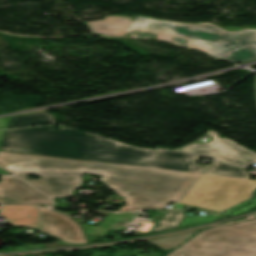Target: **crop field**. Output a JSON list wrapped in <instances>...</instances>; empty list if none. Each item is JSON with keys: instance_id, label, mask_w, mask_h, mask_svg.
Returning a JSON list of instances; mask_svg holds the SVG:
<instances>
[{"instance_id": "crop-field-1", "label": "crop field", "mask_w": 256, "mask_h": 256, "mask_svg": "<svg viewBox=\"0 0 256 256\" xmlns=\"http://www.w3.org/2000/svg\"><path fill=\"white\" fill-rule=\"evenodd\" d=\"M0 151L197 173L205 169L195 166L200 156L164 149H143L68 127L5 131Z\"/></svg>"}, {"instance_id": "crop-field-2", "label": "crop field", "mask_w": 256, "mask_h": 256, "mask_svg": "<svg viewBox=\"0 0 256 256\" xmlns=\"http://www.w3.org/2000/svg\"><path fill=\"white\" fill-rule=\"evenodd\" d=\"M0 165L14 173L82 172L126 198L121 210L164 208L178 202L200 174L0 152Z\"/></svg>"}, {"instance_id": "crop-field-3", "label": "crop field", "mask_w": 256, "mask_h": 256, "mask_svg": "<svg viewBox=\"0 0 256 256\" xmlns=\"http://www.w3.org/2000/svg\"><path fill=\"white\" fill-rule=\"evenodd\" d=\"M86 25L106 36H142L170 41L204 51L218 58L242 63L256 59V30L227 32L211 23L183 24L138 16H106Z\"/></svg>"}, {"instance_id": "crop-field-4", "label": "crop field", "mask_w": 256, "mask_h": 256, "mask_svg": "<svg viewBox=\"0 0 256 256\" xmlns=\"http://www.w3.org/2000/svg\"><path fill=\"white\" fill-rule=\"evenodd\" d=\"M166 256H256V219L204 230Z\"/></svg>"}, {"instance_id": "crop-field-5", "label": "crop field", "mask_w": 256, "mask_h": 256, "mask_svg": "<svg viewBox=\"0 0 256 256\" xmlns=\"http://www.w3.org/2000/svg\"><path fill=\"white\" fill-rule=\"evenodd\" d=\"M256 181L203 174L180 202L221 212L252 197Z\"/></svg>"}, {"instance_id": "crop-field-6", "label": "crop field", "mask_w": 256, "mask_h": 256, "mask_svg": "<svg viewBox=\"0 0 256 256\" xmlns=\"http://www.w3.org/2000/svg\"><path fill=\"white\" fill-rule=\"evenodd\" d=\"M207 134L213 138L211 142L193 144L181 150L197 153L242 167L256 163V153L247 150L229 139L218 138L214 131H208Z\"/></svg>"}, {"instance_id": "crop-field-7", "label": "crop field", "mask_w": 256, "mask_h": 256, "mask_svg": "<svg viewBox=\"0 0 256 256\" xmlns=\"http://www.w3.org/2000/svg\"><path fill=\"white\" fill-rule=\"evenodd\" d=\"M41 233L71 244L86 243L81 226L64 214L41 209Z\"/></svg>"}, {"instance_id": "crop-field-8", "label": "crop field", "mask_w": 256, "mask_h": 256, "mask_svg": "<svg viewBox=\"0 0 256 256\" xmlns=\"http://www.w3.org/2000/svg\"><path fill=\"white\" fill-rule=\"evenodd\" d=\"M1 204H51L50 198L16 177L2 176Z\"/></svg>"}, {"instance_id": "crop-field-9", "label": "crop field", "mask_w": 256, "mask_h": 256, "mask_svg": "<svg viewBox=\"0 0 256 256\" xmlns=\"http://www.w3.org/2000/svg\"><path fill=\"white\" fill-rule=\"evenodd\" d=\"M2 216L14 226L23 225L38 228V207L5 206L2 208Z\"/></svg>"}, {"instance_id": "crop-field-10", "label": "crop field", "mask_w": 256, "mask_h": 256, "mask_svg": "<svg viewBox=\"0 0 256 256\" xmlns=\"http://www.w3.org/2000/svg\"><path fill=\"white\" fill-rule=\"evenodd\" d=\"M82 180L31 182L51 196L71 195L72 190L81 185Z\"/></svg>"}, {"instance_id": "crop-field-11", "label": "crop field", "mask_w": 256, "mask_h": 256, "mask_svg": "<svg viewBox=\"0 0 256 256\" xmlns=\"http://www.w3.org/2000/svg\"><path fill=\"white\" fill-rule=\"evenodd\" d=\"M55 123L52 116L48 112L36 113L24 116H14L11 117V122L7 128L12 127H24L33 126L39 124H51Z\"/></svg>"}, {"instance_id": "crop-field-12", "label": "crop field", "mask_w": 256, "mask_h": 256, "mask_svg": "<svg viewBox=\"0 0 256 256\" xmlns=\"http://www.w3.org/2000/svg\"><path fill=\"white\" fill-rule=\"evenodd\" d=\"M196 232H198V231L195 230V231L185 232V233H181V234L171 235V236L164 237V239L156 238V239L148 240V242H150L151 244H153L165 251H169V250L179 246L183 242H185Z\"/></svg>"}, {"instance_id": "crop-field-13", "label": "crop field", "mask_w": 256, "mask_h": 256, "mask_svg": "<svg viewBox=\"0 0 256 256\" xmlns=\"http://www.w3.org/2000/svg\"><path fill=\"white\" fill-rule=\"evenodd\" d=\"M204 173L225 176V177L250 179L245 169L225 165V164L218 163V162H215Z\"/></svg>"}, {"instance_id": "crop-field-14", "label": "crop field", "mask_w": 256, "mask_h": 256, "mask_svg": "<svg viewBox=\"0 0 256 256\" xmlns=\"http://www.w3.org/2000/svg\"><path fill=\"white\" fill-rule=\"evenodd\" d=\"M184 216L183 211L167 210L151 232L174 229L181 222Z\"/></svg>"}, {"instance_id": "crop-field-15", "label": "crop field", "mask_w": 256, "mask_h": 256, "mask_svg": "<svg viewBox=\"0 0 256 256\" xmlns=\"http://www.w3.org/2000/svg\"><path fill=\"white\" fill-rule=\"evenodd\" d=\"M28 174H34L40 177L36 180L30 179V181L82 179V174L21 173L17 175L21 176L24 179H29L27 177Z\"/></svg>"}, {"instance_id": "crop-field-16", "label": "crop field", "mask_w": 256, "mask_h": 256, "mask_svg": "<svg viewBox=\"0 0 256 256\" xmlns=\"http://www.w3.org/2000/svg\"><path fill=\"white\" fill-rule=\"evenodd\" d=\"M250 200L251 199H249V200H247L245 202H242L240 204H237V205H235V206H233V207L223 211V212H226L225 214H223L222 212L218 213V212H214V211H210V210H206V209L194 208V207H191V206H190V208L199 209V210L208 211V212H214V213H218V214H220L222 216H225V215L230 214L232 210H234V209H236V208H238V207H240V206H242L244 204H248L250 202ZM253 209H256V198H254V201L251 202L248 206H245V207H243V208H241V209H239L237 211H234L233 214L230 215V216H233V215H236V214H240V213H243V212H246V211H250V210H253Z\"/></svg>"}, {"instance_id": "crop-field-17", "label": "crop field", "mask_w": 256, "mask_h": 256, "mask_svg": "<svg viewBox=\"0 0 256 256\" xmlns=\"http://www.w3.org/2000/svg\"><path fill=\"white\" fill-rule=\"evenodd\" d=\"M216 218L218 217L217 216H186L182 220V222L179 224L178 228L200 224V223L211 222V221H214Z\"/></svg>"}, {"instance_id": "crop-field-18", "label": "crop field", "mask_w": 256, "mask_h": 256, "mask_svg": "<svg viewBox=\"0 0 256 256\" xmlns=\"http://www.w3.org/2000/svg\"><path fill=\"white\" fill-rule=\"evenodd\" d=\"M184 207L186 208V206L181 205V204H176L173 208H177V209H184Z\"/></svg>"}, {"instance_id": "crop-field-19", "label": "crop field", "mask_w": 256, "mask_h": 256, "mask_svg": "<svg viewBox=\"0 0 256 256\" xmlns=\"http://www.w3.org/2000/svg\"><path fill=\"white\" fill-rule=\"evenodd\" d=\"M0 174H10V173L5 171L4 169L0 168Z\"/></svg>"}, {"instance_id": "crop-field-20", "label": "crop field", "mask_w": 256, "mask_h": 256, "mask_svg": "<svg viewBox=\"0 0 256 256\" xmlns=\"http://www.w3.org/2000/svg\"><path fill=\"white\" fill-rule=\"evenodd\" d=\"M254 87H255V93H256V79H255V82H254Z\"/></svg>"}, {"instance_id": "crop-field-21", "label": "crop field", "mask_w": 256, "mask_h": 256, "mask_svg": "<svg viewBox=\"0 0 256 256\" xmlns=\"http://www.w3.org/2000/svg\"><path fill=\"white\" fill-rule=\"evenodd\" d=\"M256 216V215H255Z\"/></svg>"}]
</instances>
